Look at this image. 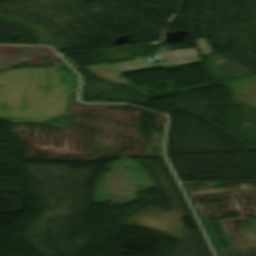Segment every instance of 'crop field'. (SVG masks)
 I'll return each instance as SVG.
<instances>
[{
    "label": "crop field",
    "instance_id": "2",
    "mask_svg": "<svg viewBox=\"0 0 256 256\" xmlns=\"http://www.w3.org/2000/svg\"><path fill=\"white\" fill-rule=\"evenodd\" d=\"M48 53L42 47L36 46H0V64H17ZM9 58L22 60H9Z\"/></svg>",
    "mask_w": 256,
    "mask_h": 256
},
{
    "label": "crop field",
    "instance_id": "4",
    "mask_svg": "<svg viewBox=\"0 0 256 256\" xmlns=\"http://www.w3.org/2000/svg\"><path fill=\"white\" fill-rule=\"evenodd\" d=\"M196 42H197L203 55H206V54L212 52L205 38L197 39Z\"/></svg>",
    "mask_w": 256,
    "mask_h": 256
},
{
    "label": "crop field",
    "instance_id": "3",
    "mask_svg": "<svg viewBox=\"0 0 256 256\" xmlns=\"http://www.w3.org/2000/svg\"><path fill=\"white\" fill-rule=\"evenodd\" d=\"M162 64L174 65L201 61L194 48L157 53Z\"/></svg>",
    "mask_w": 256,
    "mask_h": 256
},
{
    "label": "crop field",
    "instance_id": "1",
    "mask_svg": "<svg viewBox=\"0 0 256 256\" xmlns=\"http://www.w3.org/2000/svg\"><path fill=\"white\" fill-rule=\"evenodd\" d=\"M77 70L79 68L70 58L64 56ZM164 65L160 63L151 64L147 56L140 57L137 60L125 61L116 64H102L91 67H86V69L91 72L94 76H97L105 81L116 84L118 86L130 84L124 77L120 74L129 73L134 71L146 70L151 68L162 67Z\"/></svg>",
    "mask_w": 256,
    "mask_h": 256
}]
</instances>
